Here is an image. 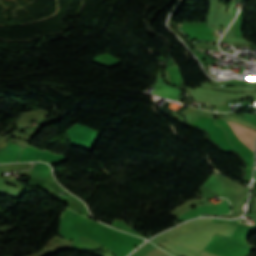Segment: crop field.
<instances>
[{"label": "crop field", "instance_id": "8a807250", "mask_svg": "<svg viewBox=\"0 0 256 256\" xmlns=\"http://www.w3.org/2000/svg\"><path fill=\"white\" fill-rule=\"evenodd\" d=\"M228 124L233 128V130L241 138V140L245 144H247L251 149L254 150L253 143L256 136V132L235 123H228Z\"/></svg>", "mask_w": 256, "mask_h": 256}, {"label": "crop field", "instance_id": "ac0d7876", "mask_svg": "<svg viewBox=\"0 0 256 256\" xmlns=\"http://www.w3.org/2000/svg\"><path fill=\"white\" fill-rule=\"evenodd\" d=\"M168 249H170L171 251H173L176 254L182 255V256H197L200 252V250L197 249H193L181 244H177V243H170L167 246Z\"/></svg>", "mask_w": 256, "mask_h": 256}, {"label": "crop field", "instance_id": "34b2d1b8", "mask_svg": "<svg viewBox=\"0 0 256 256\" xmlns=\"http://www.w3.org/2000/svg\"><path fill=\"white\" fill-rule=\"evenodd\" d=\"M165 255H167V253H165L164 251L156 247L145 256H165ZM167 256H171V255L168 254Z\"/></svg>", "mask_w": 256, "mask_h": 256}, {"label": "crop field", "instance_id": "412701ff", "mask_svg": "<svg viewBox=\"0 0 256 256\" xmlns=\"http://www.w3.org/2000/svg\"><path fill=\"white\" fill-rule=\"evenodd\" d=\"M30 179L44 182L46 178L31 175Z\"/></svg>", "mask_w": 256, "mask_h": 256}, {"label": "crop field", "instance_id": "f4fd0767", "mask_svg": "<svg viewBox=\"0 0 256 256\" xmlns=\"http://www.w3.org/2000/svg\"><path fill=\"white\" fill-rule=\"evenodd\" d=\"M199 256H219V255H215V254H212V253L202 251Z\"/></svg>", "mask_w": 256, "mask_h": 256}]
</instances>
